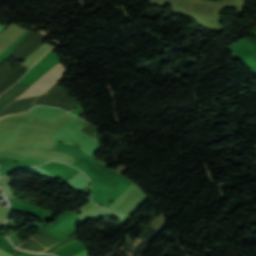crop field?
<instances>
[{
    "mask_svg": "<svg viewBox=\"0 0 256 256\" xmlns=\"http://www.w3.org/2000/svg\"><path fill=\"white\" fill-rule=\"evenodd\" d=\"M65 67L58 63L51 70L40 77L21 97L37 96L44 94L63 75Z\"/></svg>",
    "mask_w": 256,
    "mask_h": 256,
    "instance_id": "crop-field-1",
    "label": "crop field"
},
{
    "mask_svg": "<svg viewBox=\"0 0 256 256\" xmlns=\"http://www.w3.org/2000/svg\"><path fill=\"white\" fill-rule=\"evenodd\" d=\"M52 46L43 43L36 51L28 56L26 60L22 63V65L31 67L36 61H38L47 51H49Z\"/></svg>",
    "mask_w": 256,
    "mask_h": 256,
    "instance_id": "crop-field-2",
    "label": "crop field"
},
{
    "mask_svg": "<svg viewBox=\"0 0 256 256\" xmlns=\"http://www.w3.org/2000/svg\"><path fill=\"white\" fill-rule=\"evenodd\" d=\"M87 250L85 249V250H83L82 252H80V253H78L77 255H75V256H86L87 255Z\"/></svg>",
    "mask_w": 256,
    "mask_h": 256,
    "instance_id": "crop-field-3",
    "label": "crop field"
},
{
    "mask_svg": "<svg viewBox=\"0 0 256 256\" xmlns=\"http://www.w3.org/2000/svg\"><path fill=\"white\" fill-rule=\"evenodd\" d=\"M0 256H10V255H8V254H6V253L0 251Z\"/></svg>",
    "mask_w": 256,
    "mask_h": 256,
    "instance_id": "crop-field-4",
    "label": "crop field"
}]
</instances>
